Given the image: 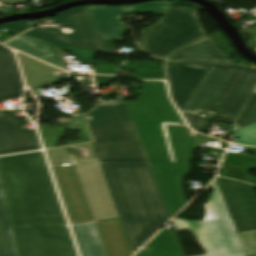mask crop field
Masks as SVG:
<instances>
[{
	"label": "crop field",
	"instance_id": "crop-field-1",
	"mask_svg": "<svg viewBox=\"0 0 256 256\" xmlns=\"http://www.w3.org/2000/svg\"><path fill=\"white\" fill-rule=\"evenodd\" d=\"M20 256H77L42 152L0 157Z\"/></svg>",
	"mask_w": 256,
	"mask_h": 256
},
{
	"label": "crop field",
	"instance_id": "crop-field-5",
	"mask_svg": "<svg viewBox=\"0 0 256 256\" xmlns=\"http://www.w3.org/2000/svg\"><path fill=\"white\" fill-rule=\"evenodd\" d=\"M109 104L86 115L100 162H148L125 102Z\"/></svg>",
	"mask_w": 256,
	"mask_h": 256
},
{
	"label": "crop field",
	"instance_id": "crop-field-29",
	"mask_svg": "<svg viewBox=\"0 0 256 256\" xmlns=\"http://www.w3.org/2000/svg\"><path fill=\"white\" fill-rule=\"evenodd\" d=\"M215 216L212 214V212L210 211V209L207 206V216H206V220H212L214 219Z\"/></svg>",
	"mask_w": 256,
	"mask_h": 256
},
{
	"label": "crop field",
	"instance_id": "crop-field-24",
	"mask_svg": "<svg viewBox=\"0 0 256 256\" xmlns=\"http://www.w3.org/2000/svg\"><path fill=\"white\" fill-rule=\"evenodd\" d=\"M233 134L240 137L235 143L256 146V123L235 131Z\"/></svg>",
	"mask_w": 256,
	"mask_h": 256
},
{
	"label": "crop field",
	"instance_id": "crop-field-33",
	"mask_svg": "<svg viewBox=\"0 0 256 256\" xmlns=\"http://www.w3.org/2000/svg\"><path fill=\"white\" fill-rule=\"evenodd\" d=\"M217 185V181L215 180V182L213 183V188Z\"/></svg>",
	"mask_w": 256,
	"mask_h": 256
},
{
	"label": "crop field",
	"instance_id": "crop-field-26",
	"mask_svg": "<svg viewBox=\"0 0 256 256\" xmlns=\"http://www.w3.org/2000/svg\"><path fill=\"white\" fill-rule=\"evenodd\" d=\"M0 27L6 28L16 33H20L22 31L32 28V25L28 21H21V22L7 23Z\"/></svg>",
	"mask_w": 256,
	"mask_h": 256
},
{
	"label": "crop field",
	"instance_id": "crop-field-36",
	"mask_svg": "<svg viewBox=\"0 0 256 256\" xmlns=\"http://www.w3.org/2000/svg\"><path fill=\"white\" fill-rule=\"evenodd\" d=\"M0 184H3V183H2V180H1V176H0Z\"/></svg>",
	"mask_w": 256,
	"mask_h": 256
},
{
	"label": "crop field",
	"instance_id": "crop-field-39",
	"mask_svg": "<svg viewBox=\"0 0 256 256\" xmlns=\"http://www.w3.org/2000/svg\"><path fill=\"white\" fill-rule=\"evenodd\" d=\"M254 51L256 52V49H254Z\"/></svg>",
	"mask_w": 256,
	"mask_h": 256
},
{
	"label": "crop field",
	"instance_id": "crop-field-2",
	"mask_svg": "<svg viewBox=\"0 0 256 256\" xmlns=\"http://www.w3.org/2000/svg\"><path fill=\"white\" fill-rule=\"evenodd\" d=\"M136 125L170 218L185 204L183 182L191 172L194 132L167 99L163 82L144 81L139 102L125 101ZM132 120V121H133ZM166 123L174 161L163 128Z\"/></svg>",
	"mask_w": 256,
	"mask_h": 256
},
{
	"label": "crop field",
	"instance_id": "crop-field-21",
	"mask_svg": "<svg viewBox=\"0 0 256 256\" xmlns=\"http://www.w3.org/2000/svg\"><path fill=\"white\" fill-rule=\"evenodd\" d=\"M169 1H155L139 4L137 6H128V13H157L163 15L169 5Z\"/></svg>",
	"mask_w": 256,
	"mask_h": 256
},
{
	"label": "crop field",
	"instance_id": "crop-field-28",
	"mask_svg": "<svg viewBox=\"0 0 256 256\" xmlns=\"http://www.w3.org/2000/svg\"><path fill=\"white\" fill-rule=\"evenodd\" d=\"M0 1L7 5H18V4L26 3L25 0H0Z\"/></svg>",
	"mask_w": 256,
	"mask_h": 256
},
{
	"label": "crop field",
	"instance_id": "crop-field-14",
	"mask_svg": "<svg viewBox=\"0 0 256 256\" xmlns=\"http://www.w3.org/2000/svg\"><path fill=\"white\" fill-rule=\"evenodd\" d=\"M170 61L177 63L234 65L221 54L208 37L177 50Z\"/></svg>",
	"mask_w": 256,
	"mask_h": 256
},
{
	"label": "crop field",
	"instance_id": "crop-field-40",
	"mask_svg": "<svg viewBox=\"0 0 256 256\" xmlns=\"http://www.w3.org/2000/svg\"><path fill=\"white\" fill-rule=\"evenodd\" d=\"M255 10H256V9H255ZM254 13H256V11H255Z\"/></svg>",
	"mask_w": 256,
	"mask_h": 256
},
{
	"label": "crop field",
	"instance_id": "crop-field-31",
	"mask_svg": "<svg viewBox=\"0 0 256 256\" xmlns=\"http://www.w3.org/2000/svg\"><path fill=\"white\" fill-rule=\"evenodd\" d=\"M245 151L256 154V149L255 148H246Z\"/></svg>",
	"mask_w": 256,
	"mask_h": 256
},
{
	"label": "crop field",
	"instance_id": "crop-field-4",
	"mask_svg": "<svg viewBox=\"0 0 256 256\" xmlns=\"http://www.w3.org/2000/svg\"><path fill=\"white\" fill-rule=\"evenodd\" d=\"M75 163L52 167L71 223L119 217L98 159Z\"/></svg>",
	"mask_w": 256,
	"mask_h": 256
},
{
	"label": "crop field",
	"instance_id": "crop-field-30",
	"mask_svg": "<svg viewBox=\"0 0 256 256\" xmlns=\"http://www.w3.org/2000/svg\"><path fill=\"white\" fill-rule=\"evenodd\" d=\"M56 49H57V54H58V60H59V62L62 63V64H64V61H63V59H62V56H61V53H60L59 49H58V48H56ZM64 65H65V64H64Z\"/></svg>",
	"mask_w": 256,
	"mask_h": 256
},
{
	"label": "crop field",
	"instance_id": "crop-field-34",
	"mask_svg": "<svg viewBox=\"0 0 256 256\" xmlns=\"http://www.w3.org/2000/svg\"><path fill=\"white\" fill-rule=\"evenodd\" d=\"M201 111L195 110L194 113L200 114Z\"/></svg>",
	"mask_w": 256,
	"mask_h": 256
},
{
	"label": "crop field",
	"instance_id": "crop-field-22",
	"mask_svg": "<svg viewBox=\"0 0 256 256\" xmlns=\"http://www.w3.org/2000/svg\"><path fill=\"white\" fill-rule=\"evenodd\" d=\"M221 175L224 177H229L236 180L256 184V178L248 175L247 170L229 166L225 158L223 160L222 167H221Z\"/></svg>",
	"mask_w": 256,
	"mask_h": 256
},
{
	"label": "crop field",
	"instance_id": "crop-field-32",
	"mask_svg": "<svg viewBox=\"0 0 256 256\" xmlns=\"http://www.w3.org/2000/svg\"><path fill=\"white\" fill-rule=\"evenodd\" d=\"M3 51H8V49H6V48L0 46V52H3Z\"/></svg>",
	"mask_w": 256,
	"mask_h": 256
},
{
	"label": "crop field",
	"instance_id": "crop-field-37",
	"mask_svg": "<svg viewBox=\"0 0 256 256\" xmlns=\"http://www.w3.org/2000/svg\"><path fill=\"white\" fill-rule=\"evenodd\" d=\"M165 128V127H164ZM165 132H166V129H165ZM166 135H167V133H166ZM167 139H168V137H167ZM169 142V141H168ZM170 146V145H169ZM171 150V149H170ZM172 154V153H171Z\"/></svg>",
	"mask_w": 256,
	"mask_h": 256
},
{
	"label": "crop field",
	"instance_id": "crop-field-19",
	"mask_svg": "<svg viewBox=\"0 0 256 256\" xmlns=\"http://www.w3.org/2000/svg\"><path fill=\"white\" fill-rule=\"evenodd\" d=\"M146 247L184 254L175 232L162 230Z\"/></svg>",
	"mask_w": 256,
	"mask_h": 256
},
{
	"label": "crop field",
	"instance_id": "crop-field-15",
	"mask_svg": "<svg viewBox=\"0 0 256 256\" xmlns=\"http://www.w3.org/2000/svg\"><path fill=\"white\" fill-rule=\"evenodd\" d=\"M102 39L122 41L127 31L126 23L121 22L127 13L126 7L89 6Z\"/></svg>",
	"mask_w": 256,
	"mask_h": 256
},
{
	"label": "crop field",
	"instance_id": "crop-field-8",
	"mask_svg": "<svg viewBox=\"0 0 256 256\" xmlns=\"http://www.w3.org/2000/svg\"><path fill=\"white\" fill-rule=\"evenodd\" d=\"M207 205L216 216L212 221H172L175 230L191 229L209 256H245L218 186Z\"/></svg>",
	"mask_w": 256,
	"mask_h": 256
},
{
	"label": "crop field",
	"instance_id": "crop-field-20",
	"mask_svg": "<svg viewBox=\"0 0 256 256\" xmlns=\"http://www.w3.org/2000/svg\"><path fill=\"white\" fill-rule=\"evenodd\" d=\"M256 122V93L252 92L249 99L241 109L240 113L234 120L236 125L233 131L248 126ZM232 131V132H233Z\"/></svg>",
	"mask_w": 256,
	"mask_h": 256
},
{
	"label": "crop field",
	"instance_id": "crop-field-9",
	"mask_svg": "<svg viewBox=\"0 0 256 256\" xmlns=\"http://www.w3.org/2000/svg\"><path fill=\"white\" fill-rule=\"evenodd\" d=\"M256 85V70L234 66L227 79L205 108L214 113L208 119H195L198 115L182 113L191 128L208 132L212 119L232 123Z\"/></svg>",
	"mask_w": 256,
	"mask_h": 256
},
{
	"label": "crop field",
	"instance_id": "crop-field-16",
	"mask_svg": "<svg viewBox=\"0 0 256 256\" xmlns=\"http://www.w3.org/2000/svg\"><path fill=\"white\" fill-rule=\"evenodd\" d=\"M22 94V79L13 53H0V102L20 98Z\"/></svg>",
	"mask_w": 256,
	"mask_h": 256
},
{
	"label": "crop field",
	"instance_id": "crop-field-7",
	"mask_svg": "<svg viewBox=\"0 0 256 256\" xmlns=\"http://www.w3.org/2000/svg\"><path fill=\"white\" fill-rule=\"evenodd\" d=\"M233 66L167 63L171 97L180 111L204 110Z\"/></svg>",
	"mask_w": 256,
	"mask_h": 256
},
{
	"label": "crop field",
	"instance_id": "crop-field-13",
	"mask_svg": "<svg viewBox=\"0 0 256 256\" xmlns=\"http://www.w3.org/2000/svg\"><path fill=\"white\" fill-rule=\"evenodd\" d=\"M27 123L13 110H0V155L41 148L36 131L24 127Z\"/></svg>",
	"mask_w": 256,
	"mask_h": 256
},
{
	"label": "crop field",
	"instance_id": "crop-field-35",
	"mask_svg": "<svg viewBox=\"0 0 256 256\" xmlns=\"http://www.w3.org/2000/svg\"><path fill=\"white\" fill-rule=\"evenodd\" d=\"M221 145H226V146H228V144H227V143H225V142H223Z\"/></svg>",
	"mask_w": 256,
	"mask_h": 256
},
{
	"label": "crop field",
	"instance_id": "crop-field-27",
	"mask_svg": "<svg viewBox=\"0 0 256 256\" xmlns=\"http://www.w3.org/2000/svg\"><path fill=\"white\" fill-rule=\"evenodd\" d=\"M136 256H184V255L144 247Z\"/></svg>",
	"mask_w": 256,
	"mask_h": 256
},
{
	"label": "crop field",
	"instance_id": "crop-field-17",
	"mask_svg": "<svg viewBox=\"0 0 256 256\" xmlns=\"http://www.w3.org/2000/svg\"><path fill=\"white\" fill-rule=\"evenodd\" d=\"M4 44L66 70L58 63L55 47L45 42L20 35Z\"/></svg>",
	"mask_w": 256,
	"mask_h": 256
},
{
	"label": "crop field",
	"instance_id": "crop-field-6",
	"mask_svg": "<svg viewBox=\"0 0 256 256\" xmlns=\"http://www.w3.org/2000/svg\"><path fill=\"white\" fill-rule=\"evenodd\" d=\"M201 9L190 2H171L162 19L140 34V49L152 57L167 60L176 49L205 37L198 20Z\"/></svg>",
	"mask_w": 256,
	"mask_h": 256
},
{
	"label": "crop field",
	"instance_id": "crop-field-11",
	"mask_svg": "<svg viewBox=\"0 0 256 256\" xmlns=\"http://www.w3.org/2000/svg\"><path fill=\"white\" fill-rule=\"evenodd\" d=\"M81 256H131L119 219L71 225Z\"/></svg>",
	"mask_w": 256,
	"mask_h": 256
},
{
	"label": "crop field",
	"instance_id": "crop-field-12",
	"mask_svg": "<svg viewBox=\"0 0 256 256\" xmlns=\"http://www.w3.org/2000/svg\"><path fill=\"white\" fill-rule=\"evenodd\" d=\"M237 233L256 230V202L252 186L217 178Z\"/></svg>",
	"mask_w": 256,
	"mask_h": 256
},
{
	"label": "crop field",
	"instance_id": "crop-field-3",
	"mask_svg": "<svg viewBox=\"0 0 256 256\" xmlns=\"http://www.w3.org/2000/svg\"><path fill=\"white\" fill-rule=\"evenodd\" d=\"M132 253L169 219L148 163H100Z\"/></svg>",
	"mask_w": 256,
	"mask_h": 256
},
{
	"label": "crop field",
	"instance_id": "crop-field-38",
	"mask_svg": "<svg viewBox=\"0 0 256 256\" xmlns=\"http://www.w3.org/2000/svg\"><path fill=\"white\" fill-rule=\"evenodd\" d=\"M254 92H256V87H255V89H254Z\"/></svg>",
	"mask_w": 256,
	"mask_h": 256
},
{
	"label": "crop field",
	"instance_id": "crop-field-23",
	"mask_svg": "<svg viewBox=\"0 0 256 256\" xmlns=\"http://www.w3.org/2000/svg\"><path fill=\"white\" fill-rule=\"evenodd\" d=\"M246 256L256 255V231L237 234Z\"/></svg>",
	"mask_w": 256,
	"mask_h": 256
},
{
	"label": "crop field",
	"instance_id": "crop-field-18",
	"mask_svg": "<svg viewBox=\"0 0 256 256\" xmlns=\"http://www.w3.org/2000/svg\"><path fill=\"white\" fill-rule=\"evenodd\" d=\"M0 256H18L2 186H0Z\"/></svg>",
	"mask_w": 256,
	"mask_h": 256
},
{
	"label": "crop field",
	"instance_id": "crop-field-10",
	"mask_svg": "<svg viewBox=\"0 0 256 256\" xmlns=\"http://www.w3.org/2000/svg\"><path fill=\"white\" fill-rule=\"evenodd\" d=\"M54 21L62 26L41 27L23 35L47 41L71 53L70 47L105 52L88 6L78 7L58 14ZM72 30L70 33L64 32Z\"/></svg>",
	"mask_w": 256,
	"mask_h": 256
},
{
	"label": "crop field",
	"instance_id": "crop-field-25",
	"mask_svg": "<svg viewBox=\"0 0 256 256\" xmlns=\"http://www.w3.org/2000/svg\"><path fill=\"white\" fill-rule=\"evenodd\" d=\"M225 157L230 165L247 169V170L253 158L250 156H242L237 154H226Z\"/></svg>",
	"mask_w": 256,
	"mask_h": 256
}]
</instances>
